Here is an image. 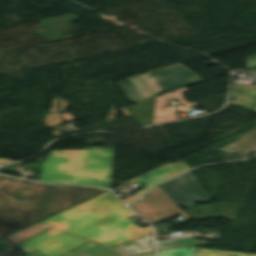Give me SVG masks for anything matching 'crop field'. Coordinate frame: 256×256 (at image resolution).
I'll return each mask as SVG.
<instances>
[{
	"instance_id": "crop-field-6",
	"label": "crop field",
	"mask_w": 256,
	"mask_h": 256,
	"mask_svg": "<svg viewBox=\"0 0 256 256\" xmlns=\"http://www.w3.org/2000/svg\"><path fill=\"white\" fill-rule=\"evenodd\" d=\"M154 76L162 83L167 92L204 82L182 64L157 70L154 72Z\"/></svg>"
},
{
	"instance_id": "crop-field-1",
	"label": "crop field",
	"mask_w": 256,
	"mask_h": 256,
	"mask_svg": "<svg viewBox=\"0 0 256 256\" xmlns=\"http://www.w3.org/2000/svg\"><path fill=\"white\" fill-rule=\"evenodd\" d=\"M132 216L134 214L108 191L41 222L54 228L16 246L28 253L35 250L58 256L89 242L60 229L108 246L153 233L151 227L141 229L128 219Z\"/></svg>"
},
{
	"instance_id": "crop-field-8",
	"label": "crop field",
	"mask_w": 256,
	"mask_h": 256,
	"mask_svg": "<svg viewBox=\"0 0 256 256\" xmlns=\"http://www.w3.org/2000/svg\"><path fill=\"white\" fill-rule=\"evenodd\" d=\"M69 106L67 101L62 100L61 98L53 99L52 108L49 110L50 114H46V118L44 119L47 127L57 126L59 124L71 121L76 119L71 114H63L60 115L59 112L65 111V107ZM54 130V136H61L63 135V126L56 127Z\"/></svg>"
},
{
	"instance_id": "crop-field-20",
	"label": "crop field",
	"mask_w": 256,
	"mask_h": 256,
	"mask_svg": "<svg viewBox=\"0 0 256 256\" xmlns=\"http://www.w3.org/2000/svg\"><path fill=\"white\" fill-rule=\"evenodd\" d=\"M23 255H26V254L16 248H14L8 252L1 254L0 256H23Z\"/></svg>"
},
{
	"instance_id": "crop-field-16",
	"label": "crop field",
	"mask_w": 256,
	"mask_h": 256,
	"mask_svg": "<svg viewBox=\"0 0 256 256\" xmlns=\"http://www.w3.org/2000/svg\"><path fill=\"white\" fill-rule=\"evenodd\" d=\"M195 250H196V247L162 251V252H159V256H192Z\"/></svg>"
},
{
	"instance_id": "crop-field-10",
	"label": "crop field",
	"mask_w": 256,
	"mask_h": 256,
	"mask_svg": "<svg viewBox=\"0 0 256 256\" xmlns=\"http://www.w3.org/2000/svg\"><path fill=\"white\" fill-rule=\"evenodd\" d=\"M243 139H240L232 144H229L223 148H221V150H227L229 148H232L234 146H237L233 149H231L230 151H235L243 146H246L252 142H255L256 141V129L254 130H251L249 133L241 136ZM255 147L256 148V143L248 146V147H245L237 152L239 153H243V154H239V153H232V152H226V158H225V161H231V160H239V159H244L246 157V154H244L245 151L251 149Z\"/></svg>"
},
{
	"instance_id": "crop-field-22",
	"label": "crop field",
	"mask_w": 256,
	"mask_h": 256,
	"mask_svg": "<svg viewBox=\"0 0 256 256\" xmlns=\"http://www.w3.org/2000/svg\"><path fill=\"white\" fill-rule=\"evenodd\" d=\"M140 256H155L154 253H149V254H143V255H140Z\"/></svg>"
},
{
	"instance_id": "crop-field-17",
	"label": "crop field",
	"mask_w": 256,
	"mask_h": 256,
	"mask_svg": "<svg viewBox=\"0 0 256 256\" xmlns=\"http://www.w3.org/2000/svg\"><path fill=\"white\" fill-rule=\"evenodd\" d=\"M95 245H97V244L89 242V243H87L85 245L77 247V248H75V249H73V250H71V251H69L67 253H64V254L60 255V256H73V255H75L77 253H80V252H82V251H84V250H86L88 248H91V247H93ZM28 256H45V255H43V254H41L39 252H34V253H32V254H30Z\"/></svg>"
},
{
	"instance_id": "crop-field-15",
	"label": "crop field",
	"mask_w": 256,
	"mask_h": 256,
	"mask_svg": "<svg viewBox=\"0 0 256 256\" xmlns=\"http://www.w3.org/2000/svg\"><path fill=\"white\" fill-rule=\"evenodd\" d=\"M194 256H256V255L198 248Z\"/></svg>"
},
{
	"instance_id": "crop-field-5",
	"label": "crop field",
	"mask_w": 256,
	"mask_h": 256,
	"mask_svg": "<svg viewBox=\"0 0 256 256\" xmlns=\"http://www.w3.org/2000/svg\"><path fill=\"white\" fill-rule=\"evenodd\" d=\"M152 72L127 78L126 80L131 85H126L125 81L119 82L120 86L133 103L153 97L164 91L160 83L152 76Z\"/></svg>"
},
{
	"instance_id": "crop-field-21",
	"label": "crop field",
	"mask_w": 256,
	"mask_h": 256,
	"mask_svg": "<svg viewBox=\"0 0 256 256\" xmlns=\"http://www.w3.org/2000/svg\"><path fill=\"white\" fill-rule=\"evenodd\" d=\"M6 162H12V161H10V160H5V159H0V164L6 163Z\"/></svg>"
},
{
	"instance_id": "crop-field-9",
	"label": "crop field",
	"mask_w": 256,
	"mask_h": 256,
	"mask_svg": "<svg viewBox=\"0 0 256 256\" xmlns=\"http://www.w3.org/2000/svg\"><path fill=\"white\" fill-rule=\"evenodd\" d=\"M256 77V69L245 72ZM232 96L236 99L231 104L256 112V88L252 89L243 84L233 85Z\"/></svg>"
},
{
	"instance_id": "crop-field-14",
	"label": "crop field",
	"mask_w": 256,
	"mask_h": 256,
	"mask_svg": "<svg viewBox=\"0 0 256 256\" xmlns=\"http://www.w3.org/2000/svg\"><path fill=\"white\" fill-rule=\"evenodd\" d=\"M136 255H132V256H136ZM75 256H128V255L97 245Z\"/></svg>"
},
{
	"instance_id": "crop-field-18",
	"label": "crop field",
	"mask_w": 256,
	"mask_h": 256,
	"mask_svg": "<svg viewBox=\"0 0 256 256\" xmlns=\"http://www.w3.org/2000/svg\"><path fill=\"white\" fill-rule=\"evenodd\" d=\"M115 106L116 105H113L112 108H111L110 114H109L108 119H107L108 122L114 121L116 119L118 110H114ZM121 111L125 114L126 117L131 116V114L127 110V108L121 109Z\"/></svg>"
},
{
	"instance_id": "crop-field-13",
	"label": "crop field",
	"mask_w": 256,
	"mask_h": 256,
	"mask_svg": "<svg viewBox=\"0 0 256 256\" xmlns=\"http://www.w3.org/2000/svg\"><path fill=\"white\" fill-rule=\"evenodd\" d=\"M203 243H207V241H197L192 237H187L183 239H177L174 241L161 242V243H158L157 246H158V250H162V249L197 245V244H203Z\"/></svg>"
},
{
	"instance_id": "crop-field-7",
	"label": "crop field",
	"mask_w": 256,
	"mask_h": 256,
	"mask_svg": "<svg viewBox=\"0 0 256 256\" xmlns=\"http://www.w3.org/2000/svg\"><path fill=\"white\" fill-rule=\"evenodd\" d=\"M188 169H190V168L187 164H185L184 162H180L175 167H173L169 170H166L164 172L157 168L156 170H152V171L148 172L147 174L130 181V184L136 182L139 186H141L143 184H146V185L141 191L132 194L129 198L124 200V202L125 203L131 202L132 200H134L135 198H137L138 196H140L142 193H144L148 189L152 188L153 186L159 184L160 182L168 179L169 177H171L177 173L186 171Z\"/></svg>"
},
{
	"instance_id": "crop-field-11",
	"label": "crop field",
	"mask_w": 256,
	"mask_h": 256,
	"mask_svg": "<svg viewBox=\"0 0 256 256\" xmlns=\"http://www.w3.org/2000/svg\"><path fill=\"white\" fill-rule=\"evenodd\" d=\"M154 234L145 237L137 238L122 244L111 246L110 248L125 252L127 254H133L136 252H143L148 250H154L153 248Z\"/></svg>"
},
{
	"instance_id": "crop-field-12",
	"label": "crop field",
	"mask_w": 256,
	"mask_h": 256,
	"mask_svg": "<svg viewBox=\"0 0 256 256\" xmlns=\"http://www.w3.org/2000/svg\"><path fill=\"white\" fill-rule=\"evenodd\" d=\"M49 228H51V227L46 226V225L41 224V223H38L34 226H31L27 229H24L20 232H17L15 234L7 237L6 239H8V240L12 241L13 243L17 244V243H19V242H21V241H23V240H25V239H27L31 236H34V235H36V234H38L42 231H45Z\"/></svg>"
},
{
	"instance_id": "crop-field-19",
	"label": "crop field",
	"mask_w": 256,
	"mask_h": 256,
	"mask_svg": "<svg viewBox=\"0 0 256 256\" xmlns=\"http://www.w3.org/2000/svg\"><path fill=\"white\" fill-rule=\"evenodd\" d=\"M14 248V246H12L11 244H9L7 241H5L4 239L0 240V254L8 251L10 249Z\"/></svg>"
},
{
	"instance_id": "crop-field-2",
	"label": "crop field",
	"mask_w": 256,
	"mask_h": 256,
	"mask_svg": "<svg viewBox=\"0 0 256 256\" xmlns=\"http://www.w3.org/2000/svg\"><path fill=\"white\" fill-rule=\"evenodd\" d=\"M100 191L98 188L42 185L0 176V238Z\"/></svg>"
},
{
	"instance_id": "crop-field-3",
	"label": "crop field",
	"mask_w": 256,
	"mask_h": 256,
	"mask_svg": "<svg viewBox=\"0 0 256 256\" xmlns=\"http://www.w3.org/2000/svg\"><path fill=\"white\" fill-rule=\"evenodd\" d=\"M114 147L53 150L43 163L40 182L110 187Z\"/></svg>"
},
{
	"instance_id": "crop-field-4",
	"label": "crop field",
	"mask_w": 256,
	"mask_h": 256,
	"mask_svg": "<svg viewBox=\"0 0 256 256\" xmlns=\"http://www.w3.org/2000/svg\"><path fill=\"white\" fill-rule=\"evenodd\" d=\"M130 207L151 223L176 214L183 216L185 220L191 219L187 213L175 205L160 187L155 188L141 199L135 201Z\"/></svg>"
}]
</instances>
